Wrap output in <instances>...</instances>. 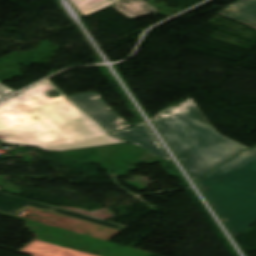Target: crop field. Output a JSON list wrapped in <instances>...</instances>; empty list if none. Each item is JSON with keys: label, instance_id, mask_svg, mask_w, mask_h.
<instances>
[{"label": "crop field", "instance_id": "8a807250", "mask_svg": "<svg viewBox=\"0 0 256 256\" xmlns=\"http://www.w3.org/2000/svg\"><path fill=\"white\" fill-rule=\"evenodd\" d=\"M49 90H56L58 96L50 98ZM0 141L44 150L124 142L107 133L48 80L0 103Z\"/></svg>", "mask_w": 256, "mask_h": 256}, {"label": "crop field", "instance_id": "ac0d7876", "mask_svg": "<svg viewBox=\"0 0 256 256\" xmlns=\"http://www.w3.org/2000/svg\"><path fill=\"white\" fill-rule=\"evenodd\" d=\"M152 121L194 181L247 148L217 133L191 98Z\"/></svg>", "mask_w": 256, "mask_h": 256}, {"label": "crop field", "instance_id": "34b2d1b8", "mask_svg": "<svg viewBox=\"0 0 256 256\" xmlns=\"http://www.w3.org/2000/svg\"><path fill=\"white\" fill-rule=\"evenodd\" d=\"M233 237L256 222V147L196 182Z\"/></svg>", "mask_w": 256, "mask_h": 256}, {"label": "crop field", "instance_id": "412701ff", "mask_svg": "<svg viewBox=\"0 0 256 256\" xmlns=\"http://www.w3.org/2000/svg\"><path fill=\"white\" fill-rule=\"evenodd\" d=\"M32 206L38 209H42L45 211L61 214L64 216L80 219L83 221L99 224L105 227L121 230L127 226H123L114 222L102 220L99 218L86 216L85 214L75 213L71 211H67L64 209H60L57 207L41 204L35 201H31L29 199L17 197L14 195H10L7 193L0 192V211L4 213H8L11 215L18 216L21 212H23L27 207Z\"/></svg>", "mask_w": 256, "mask_h": 256}, {"label": "crop field", "instance_id": "f4fd0767", "mask_svg": "<svg viewBox=\"0 0 256 256\" xmlns=\"http://www.w3.org/2000/svg\"><path fill=\"white\" fill-rule=\"evenodd\" d=\"M68 98L98 122L107 132L130 127L102 101L99 93L88 92Z\"/></svg>", "mask_w": 256, "mask_h": 256}, {"label": "crop field", "instance_id": "dd49c442", "mask_svg": "<svg viewBox=\"0 0 256 256\" xmlns=\"http://www.w3.org/2000/svg\"><path fill=\"white\" fill-rule=\"evenodd\" d=\"M112 134L119 136L127 141H130L168 161L170 159L166 155L165 151L158 143L154 135L145 125V123L137 125L133 128L112 132Z\"/></svg>", "mask_w": 256, "mask_h": 256}, {"label": "crop field", "instance_id": "e52e79f7", "mask_svg": "<svg viewBox=\"0 0 256 256\" xmlns=\"http://www.w3.org/2000/svg\"><path fill=\"white\" fill-rule=\"evenodd\" d=\"M217 14L256 30V0H239Z\"/></svg>", "mask_w": 256, "mask_h": 256}, {"label": "crop field", "instance_id": "d8731c3e", "mask_svg": "<svg viewBox=\"0 0 256 256\" xmlns=\"http://www.w3.org/2000/svg\"><path fill=\"white\" fill-rule=\"evenodd\" d=\"M19 252L33 256H95L39 240L34 241Z\"/></svg>", "mask_w": 256, "mask_h": 256}, {"label": "crop field", "instance_id": "5a996713", "mask_svg": "<svg viewBox=\"0 0 256 256\" xmlns=\"http://www.w3.org/2000/svg\"><path fill=\"white\" fill-rule=\"evenodd\" d=\"M112 7L129 19L158 12V10L146 3L144 0H123L112 5Z\"/></svg>", "mask_w": 256, "mask_h": 256}, {"label": "crop field", "instance_id": "3316defc", "mask_svg": "<svg viewBox=\"0 0 256 256\" xmlns=\"http://www.w3.org/2000/svg\"><path fill=\"white\" fill-rule=\"evenodd\" d=\"M79 10L83 18L120 0H70Z\"/></svg>", "mask_w": 256, "mask_h": 256}, {"label": "crop field", "instance_id": "28ad6ade", "mask_svg": "<svg viewBox=\"0 0 256 256\" xmlns=\"http://www.w3.org/2000/svg\"><path fill=\"white\" fill-rule=\"evenodd\" d=\"M14 92L13 90H11L10 88H8L7 86L3 85L2 83H0V98L10 94Z\"/></svg>", "mask_w": 256, "mask_h": 256}, {"label": "crop field", "instance_id": "d1516ede", "mask_svg": "<svg viewBox=\"0 0 256 256\" xmlns=\"http://www.w3.org/2000/svg\"><path fill=\"white\" fill-rule=\"evenodd\" d=\"M0 191H2V189H0Z\"/></svg>", "mask_w": 256, "mask_h": 256}]
</instances>
